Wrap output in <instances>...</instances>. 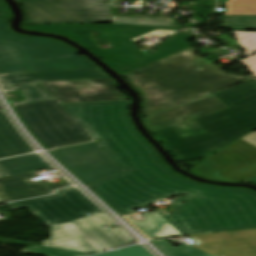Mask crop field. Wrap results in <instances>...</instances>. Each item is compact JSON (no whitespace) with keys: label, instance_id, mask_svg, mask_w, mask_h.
I'll return each mask as SVG.
<instances>
[{"label":"crop field","instance_id":"12","mask_svg":"<svg viewBox=\"0 0 256 256\" xmlns=\"http://www.w3.org/2000/svg\"><path fill=\"white\" fill-rule=\"evenodd\" d=\"M228 108L212 96L165 112L145 117L143 121L151 133Z\"/></svg>","mask_w":256,"mask_h":256},{"label":"crop field","instance_id":"29","mask_svg":"<svg viewBox=\"0 0 256 256\" xmlns=\"http://www.w3.org/2000/svg\"><path fill=\"white\" fill-rule=\"evenodd\" d=\"M256 76V55L240 60Z\"/></svg>","mask_w":256,"mask_h":256},{"label":"crop field","instance_id":"17","mask_svg":"<svg viewBox=\"0 0 256 256\" xmlns=\"http://www.w3.org/2000/svg\"><path fill=\"white\" fill-rule=\"evenodd\" d=\"M34 152L0 112V158Z\"/></svg>","mask_w":256,"mask_h":256},{"label":"crop field","instance_id":"21","mask_svg":"<svg viewBox=\"0 0 256 256\" xmlns=\"http://www.w3.org/2000/svg\"><path fill=\"white\" fill-rule=\"evenodd\" d=\"M113 23L134 24V25H149L163 27H179L173 22V18H145V17H123L112 16ZM146 20V22H143Z\"/></svg>","mask_w":256,"mask_h":256},{"label":"crop field","instance_id":"20","mask_svg":"<svg viewBox=\"0 0 256 256\" xmlns=\"http://www.w3.org/2000/svg\"><path fill=\"white\" fill-rule=\"evenodd\" d=\"M256 176V161L245 163L233 168H229L208 176L211 179L231 182H242Z\"/></svg>","mask_w":256,"mask_h":256},{"label":"crop field","instance_id":"25","mask_svg":"<svg viewBox=\"0 0 256 256\" xmlns=\"http://www.w3.org/2000/svg\"><path fill=\"white\" fill-rule=\"evenodd\" d=\"M233 33L247 56L256 52V32L233 31Z\"/></svg>","mask_w":256,"mask_h":256},{"label":"crop field","instance_id":"19","mask_svg":"<svg viewBox=\"0 0 256 256\" xmlns=\"http://www.w3.org/2000/svg\"><path fill=\"white\" fill-rule=\"evenodd\" d=\"M147 220L136 223L129 218L138 228L151 238L181 235L174 229L159 212H151L143 215Z\"/></svg>","mask_w":256,"mask_h":256},{"label":"crop field","instance_id":"7","mask_svg":"<svg viewBox=\"0 0 256 256\" xmlns=\"http://www.w3.org/2000/svg\"><path fill=\"white\" fill-rule=\"evenodd\" d=\"M113 223L104 213L98 214L53 227L51 238L41 243L43 246L87 253L100 252L133 240L120 227L112 229L109 225ZM105 226L110 230L104 229Z\"/></svg>","mask_w":256,"mask_h":256},{"label":"crop field","instance_id":"15","mask_svg":"<svg viewBox=\"0 0 256 256\" xmlns=\"http://www.w3.org/2000/svg\"><path fill=\"white\" fill-rule=\"evenodd\" d=\"M80 23L112 22L107 0H49Z\"/></svg>","mask_w":256,"mask_h":256},{"label":"crop field","instance_id":"4","mask_svg":"<svg viewBox=\"0 0 256 256\" xmlns=\"http://www.w3.org/2000/svg\"><path fill=\"white\" fill-rule=\"evenodd\" d=\"M22 28L66 35L81 43L121 74L186 49L190 47L186 41L191 39L184 33L177 34L157 46L156 53L144 56L131 39L155 29L178 30L180 28L120 24L24 26Z\"/></svg>","mask_w":256,"mask_h":256},{"label":"crop field","instance_id":"28","mask_svg":"<svg viewBox=\"0 0 256 256\" xmlns=\"http://www.w3.org/2000/svg\"><path fill=\"white\" fill-rule=\"evenodd\" d=\"M236 230L256 228V217L230 220Z\"/></svg>","mask_w":256,"mask_h":256},{"label":"crop field","instance_id":"9","mask_svg":"<svg viewBox=\"0 0 256 256\" xmlns=\"http://www.w3.org/2000/svg\"><path fill=\"white\" fill-rule=\"evenodd\" d=\"M51 153L88 184L125 171L119 169L95 142Z\"/></svg>","mask_w":256,"mask_h":256},{"label":"crop field","instance_id":"32","mask_svg":"<svg viewBox=\"0 0 256 256\" xmlns=\"http://www.w3.org/2000/svg\"><path fill=\"white\" fill-rule=\"evenodd\" d=\"M8 175L0 168V178L1 177H7ZM0 203H3V201L0 199Z\"/></svg>","mask_w":256,"mask_h":256},{"label":"crop field","instance_id":"33","mask_svg":"<svg viewBox=\"0 0 256 256\" xmlns=\"http://www.w3.org/2000/svg\"><path fill=\"white\" fill-rule=\"evenodd\" d=\"M244 182H248V183H252V184H255L256 185V177L255 178H252V179H249V180H246Z\"/></svg>","mask_w":256,"mask_h":256},{"label":"crop field","instance_id":"22","mask_svg":"<svg viewBox=\"0 0 256 256\" xmlns=\"http://www.w3.org/2000/svg\"><path fill=\"white\" fill-rule=\"evenodd\" d=\"M224 26L230 30H256V16H224ZM236 18V19H234Z\"/></svg>","mask_w":256,"mask_h":256},{"label":"crop field","instance_id":"30","mask_svg":"<svg viewBox=\"0 0 256 256\" xmlns=\"http://www.w3.org/2000/svg\"><path fill=\"white\" fill-rule=\"evenodd\" d=\"M0 19H10V12L4 0H0Z\"/></svg>","mask_w":256,"mask_h":256},{"label":"crop field","instance_id":"18","mask_svg":"<svg viewBox=\"0 0 256 256\" xmlns=\"http://www.w3.org/2000/svg\"><path fill=\"white\" fill-rule=\"evenodd\" d=\"M0 167L9 176L51 168L38 154L2 160Z\"/></svg>","mask_w":256,"mask_h":256},{"label":"crop field","instance_id":"2","mask_svg":"<svg viewBox=\"0 0 256 256\" xmlns=\"http://www.w3.org/2000/svg\"><path fill=\"white\" fill-rule=\"evenodd\" d=\"M195 51L188 48L123 74L143 96L142 114H156L209 97L205 94L212 96L253 78L221 72L209 61L197 59ZM198 68L201 70H197Z\"/></svg>","mask_w":256,"mask_h":256},{"label":"crop field","instance_id":"23","mask_svg":"<svg viewBox=\"0 0 256 256\" xmlns=\"http://www.w3.org/2000/svg\"><path fill=\"white\" fill-rule=\"evenodd\" d=\"M225 15H256V0H230Z\"/></svg>","mask_w":256,"mask_h":256},{"label":"crop field","instance_id":"31","mask_svg":"<svg viewBox=\"0 0 256 256\" xmlns=\"http://www.w3.org/2000/svg\"><path fill=\"white\" fill-rule=\"evenodd\" d=\"M153 243H154L160 250L165 249V248L172 247V245H171L170 243H168L165 239L153 241Z\"/></svg>","mask_w":256,"mask_h":256},{"label":"crop field","instance_id":"14","mask_svg":"<svg viewBox=\"0 0 256 256\" xmlns=\"http://www.w3.org/2000/svg\"><path fill=\"white\" fill-rule=\"evenodd\" d=\"M35 172L0 179V198L4 202L51 194L53 190L72 185L70 182L52 186L44 182L31 183ZM32 189H34L32 191Z\"/></svg>","mask_w":256,"mask_h":256},{"label":"crop field","instance_id":"8","mask_svg":"<svg viewBox=\"0 0 256 256\" xmlns=\"http://www.w3.org/2000/svg\"><path fill=\"white\" fill-rule=\"evenodd\" d=\"M58 195L8 204L12 209L28 208L48 227L71 222L87 213H102L74 187L56 192Z\"/></svg>","mask_w":256,"mask_h":256},{"label":"crop field","instance_id":"1","mask_svg":"<svg viewBox=\"0 0 256 256\" xmlns=\"http://www.w3.org/2000/svg\"><path fill=\"white\" fill-rule=\"evenodd\" d=\"M128 105V101L62 105L72 117L27 126L51 149L91 141L78 122L82 123L113 162L128 170L92 187L121 216L158 199L185 194L190 197L173 200L174 214L165 216L182 235L235 230L228 219L256 216L255 192L204 185L173 173L131 125Z\"/></svg>","mask_w":256,"mask_h":256},{"label":"crop field","instance_id":"11","mask_svg":"<svg viewBox=\"0 0 256 256\" xmlns=\"http://www.w3.org/2000/svg\"><path fill=\"white\" fill-rule=\"evenodd\" d=\"M190 245L216 256H256V229L189 237Z\"/></svg>","mask_w":256,"mask_h":256},{"label":"crop field","instance_id":"3","mask_svg":"<svg viewBox=\"0 0 256 256\" xmlns=\"http://www.w3.org/2000/svg\"><path fill=\"white\" fill-rule=\"evenodd\" d=\"M214 96L229 108L153 133L174 158L190 159L218 151L256 130L255 78Z\"/></svg>","mask_w":256,"mask_h":256},{"label":"crop field","instance_id":"16","mask_svg":"<svg viewBox=\"0 0 256 256\" xmlns=\"http://www.w3.org/2000/svg\"><path fill=\"white\" fill-rule=\"evenodd\" d=\"M28 16L25 24L78 23L48 0L21 1Z\"/></svg>","mask_w":256,"mask_h":256},{"label":"crop field","instance_id":"27","mask_svg":"<svg viewBox=\"0 0 256 256\" xmlns=\"http://www.w3.org/2000/svg\"><path fill=\"white\" fill-rule=\"evenodd\" d=\"M150 254L141 246L131 247L127 249L117 250L110 253H105L97 256H143Z\"/></svg>","mask_w":256,"mask_h":256},{"label":"crop field","instance_id":"24","mask_svg":"<svg viewBox=\"0 0 256 256\" xmlns=\"http://www.w3.org/2000/svg\"><path fill=\"white\" fill-rule=\"evenodd\" d=\"M23 254H37V255H45V256H87L89 254L48 248V247H40L33 246L29 248L22 249Z\"/></svg>","mask_w":256,"mask_h":256},{"label":"crop field","instance_id":"6","mask_svg":"<svg viewBox=\"0 0 256 256\" xmlns=\"http://www.w3.org/2000/svg\"><path fill=\"white\" fill-rule=\"evenodd\" d=\"M55 100L13 106L25 124L69 117L60 104L128 100L113 85L112 79L37 83Z\"/></svg>","mask_w":256,"mask_h":256},{"label":"crop field","instance_id":"34","mask_svg":"<svg viewBox=\"0 0 256 256\" xmlns=\"http://www.w3.org/2000/svg\"><path fill=\"white\" fill-rule=\"evenodd\" d=\"M147 256H150V255H147Z\"/></svg>","mask_w":256,"mask_h":256},{"label":"crop field","instance_id":"10","mask_svg":"<svg viewBox=\"0 0 256 256\" xmlns=\"http://www.w3.org/2000/svg\"><path fill=\"white\" fill-rule=\"evenodd\" d=\"M100 77H107V75L100 70L44 72L0 77V82L6 92L21 90L24 93L27 100L11 103L12 105H21L54 99L43 87H38L36 82Z\"/></svg>","mask_w":256,"mask_h":256},{"label":"crop field","instance_id":"13","mask_svg":"<svg viewBox=\"0 0 256 256\" xmlns=\"http://www.w3.org/2000/svg\"><path fill=\"white\" fill-rule=\"evenodd\" d=\"M252 160H256V131L246 134L190 170L201 176L218 169L236 166Z\"/></svg>","mask_w":256,"mask_h":256},{"label":"crop field","instance_id":"26","mask_svg":"<svg viewBox=\"0 0 256 256\" xmlns=\"http://www.w3.org/2000/svg\"><path fill=\"white\" fill-rule=\"evenodd\" d=\"M162 252H164L167 256H209L211 255L187 245L172 247L169 249L162 250Z\"/></svg>","mask_w":256,"mask_h":256},{"label":"crop field","instance_id":"5","mask_svg":"<svg viewBox=\"0 0 256 256\" xmlns=\"http://www.w3.org/2000/svg\"><path fill=\"white\" fill-rule=\"evenodd\" d=\"M0 20V74L98 69L78 51L50 38L17 35Z\"/></svg>","mask_w":256,"mask_h":256}]
</instances>
